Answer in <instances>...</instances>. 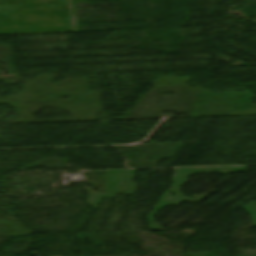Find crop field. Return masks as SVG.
Here are the masks:
<instances>
[{
  "label": "crop field",
  "mask_w": 256,
  "mask_h": 256,
  "mask_svg": "<svg viewBox=\"0 0 256 256\" xmlns=\"http://www.w3.org/2000/svg\"><path fill=\"white\" fill-rule=\"evenodd\" d=\"M76 32L70 0H0V36Z\"/></svg>",
  "instance_id": "obj_1"
}]
</instances>
